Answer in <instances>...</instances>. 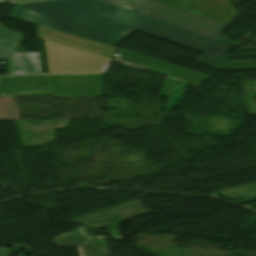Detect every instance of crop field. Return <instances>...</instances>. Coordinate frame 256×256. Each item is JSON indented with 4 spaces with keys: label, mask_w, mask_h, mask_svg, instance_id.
<instances>
[{
    "label": "crop field",
    "mask_w": 256,
    "mask_h": 256,
    "mask_svg": "<svg viewBox=\"0 0 256 256\" xmlns=\"http://www.w3.org/2000/svg\"><path fill=\"white\" fill-rule=\"evenodd\" d=\"M9 16L110 45L138 30L202 52L204 54L198 61L215 67L236 45L220 37L213 40L99 0L22 3L17 4Z\"/></svg>",
    "instance_id": "obj_1"
},
{
    "label": "crop field",
    "mask_w": 256,
    "mask_h": 256,
    "mask_svg": "<svg viewBox=\"0 0 256 256\" xmlns=\"http://www.w3.org/2000/svg\"><path fill=\"white\" fill-rule=\"evenodd\" d=\"M51 80L54 97H101L99 75H59ZM48 94V76L0 77V96Z\"/></svg>",
    "instance_id": "obj_2"
},
{
    "label": "crop field",
    "mask_w": 256,
    "mask_h": 256,
    "mask_svg": "<svg viewBox=\"0 0 256 256\" xmlns=\"http://www.w3.org/2000/svg\"><path fill=\"white\" fill-rule=\"evenodd\" d=\"M139 13L217 39L226 24L187 13L154 0H126Z\"/></svg>",
    "instance_id": "obj_3"
},
{
    "label": "crop field",
    "mask_w": 256,
    "mask_h": 256,
    "mask_svg": "<svg viewBox=\"0 0 256 256\" xmlns=\"http://www.w3.org/2000/svg\"><path fill=\"white\" fill-rule=\"evenodd\" d=\"M175 8L228 24L235 16L227 0H157Z\"/></svg>",
    "instance_id": "obj_4"
},
{
    "label": "crop field",
    "mask_w": 256,
    "mask_h": 256,
    "mask_svg": "<svg viewBox=\"0 0 256 256\" xmlns=\"http://www.w3.org/2000/svg\"><path fill=\"white\" fill-rule=\"evenodd\" d=\"M38 33L40 39H46L59 44L70 46L76 49L87 51L90 53L98 54L111 58L115 48L99 44L96 42L88 41L78 37L70 36L53 30H49L38 26Z\"/></svg>",
    "instance_id": "obj_5"
},
{
    "label": "crop field",
    "mask_w": 256,
    "mask_h": 256,
    "mask_svg": "<svg viewBox=\"0 0 256 256\" xmlns=\"http://www.w3.org/2000/svg\"><path fill=\"white\" fill-rule=\"evenodd\" d=\"M40 58L38 53H15L12 58L10 74H39Z\"/></svg>",
    "instance_id": "obj_6"
},
{
    "label": "crop field",
    "mask_w": 256,
    "mask_h": 256,
    "mask_svg": "<svg viewBox=\"0 0 256 256\" xmlns=\"http://www.w3.org/2000/svg\"><path fill=\"white\" fill-rule=\"evenodd\" d=\"M20 36L0 26V59H9Z\"/></svg>",
    "instance_id": "obj_7"
},
{
    "label": "crop field",
    "mask_w": 256,
    "mask_h": 256,
    "mask_svg": "<svg viewBox=\"0 0 256 256\" xmlns=\"http://www.w3.org/2000/svg\"><path fill=\"white\" fill-rule=\"evenodd\" d=\"M102 1H105V2H108V3L115 4V5H118V6H121V7L132 10V8L130 6L124 4L122 1H119V0H102Z\"/></svg>",
    "instance_id": "obj_8"
},
{
    "label": "crop field",
    "mask_w": 256,
    "mask_h": 256,
    "mask_svg": "<svg viewBox=\"0 0 256 256\" xmlns=\"http://www.w3.org/2000/svg\"><path fill=\"white\" fill-rule=\"evenodd\" d=\"M11 0H0V2H10Z\"/></svg>",
    "instance_id": "obj_9"
},
{
    "label": "crop field",
    "mask_w": 256,
    "mask_h": 256,
    "mask_svg": "<svg viewBox=\"0 0 256 256\" xmlns=\"http://www.w3.org/2000/svg\"><path fill=\"white\" fill-rule=\"evenodd\" d=\"M16 2H19V1H27V0H15Z\"/></svg>",
    "instance_id": "obj_10"
}]
</instances>
